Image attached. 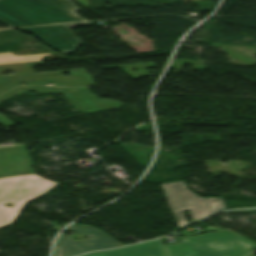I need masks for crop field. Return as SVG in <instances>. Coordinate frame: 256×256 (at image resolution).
<instances>
[{"instance_id":"3316defc","label":"crop field","mask_w":256,"mask_h":256,"mask_svg":"<svg viewBox=\"0 0 256 256\" xmlns=\"http://www.w3.org/2000/svg\"><path fill=\"white\" fill-rule=\"evenodd\" d=\"M26 92H39V93H54L61 94L59 88L54 87H42V86H31V87H19L13 89L0 97V104L7 101L8 99L26 93ZM0 123L6 127L15 126L14 123L0 115Z\"/></svg>"},{"instance_id":"e52e79f7","label":"crop field","mask_w":256,"mask_h":256,"mask_svg":"<svg viewBox=\"0 0 256 256\" xmlns=\"http://www.w3.org/2000/svg\"><path fill=\"white\" fill-rule=\"evenodd\" d=\"M60 90L79 113L91 114L123 107L117 101L98 99L96 95L89 92L87 87L60 88Z\"/></svg>"},{"instance_id":"8a807250","label":"crop field","mask_w":256,"mask_h":256,"mask_svg":"<svg viewBox=\"0 0 256 256\" xmlns=\"http://www.w3.org/2000/svg\"><path fill=\"white\" fill-rule=\"evenodd\" d=\"M70 0H15L0 3V21L10 27L86 21Z\"/></svg>"},{"instance_id":"cbeb9de0","label":"crop field","mask_w":256,"mask_h":256,"mask_svg":"<svg viewBox=\"0 0 256 256\" xmlns=\"http://www.w3.org/2000/svg\"><path fill=\"white\" fill-rule=\"evenodd\" d=\"M18 85L13 76L0 77V94Z\"/></svg>"},{"instance_id":"5a996713","label":"crop field","mask_w":256,"mask_h":256,"mask_svg":"<svg viewBox=\"0 0 256 256\" xmlns=\"http://www.w3.org/2000/svg\"><path fill=\"white\" fill-rule=\"evenodd\" d=\"M83 256H165L161 240H154L125 248L85 254ZM186 256H194L193 252Z\"/></svg>"},{"instance_id":"d9b57169","label":"crop field","mask_w":256,"mask_h":256,"mask_svg":"<svg viewBox=\"0 0 256 256\" xmlns=\"http://www.w3.org/2000/svg\"><path fill=\"white\" fill-rule=\"evenodd\" d=\"M82 256V255H81Z\"/></svg>"},{"instance_id":"d1516ede","label":"crop field","mask_w":256,"mask_h":256,"mask_svg":"<svg viewBox=\"0 0 256 256\" xmlns=\"http://www.w3.org/2000/svg\"><path fill=\"white\" fill-rule=\"evenodd\" d=\"M36 64H43V63L41 61H37V62H28V63H19V64L0 65V76H7V75H1V73L4 72L5 70L12 71L13 74L11 75L31 73L33 72L31 67Z\"/></svg>"},{"instance_id":"f4fd0767","label":"crop field","mask_w":256,"mask_h":256,"mask_svg":"<svg viewBox=\"0 0 256 256\" xmlns=\"http://www.w3.org/2000/svg\"><path fill=\"white\" fill-rule=\"evenodd\" d=\"M67 230L79 233L87 239L73 242L71 239L61 233L55 244V256H74L86 251L122 246V244L116 242L104 232L91 226L73 225Z\"/></svg>"},{"instance_id":"28ad6ade","label":"crop field","mask_w":256,"mask_h":256,"mask_svg":"<svg viewBox=\"0 0 256 256\" xmlns=\"http://www.w3.org/2000/svg\"><path fill=\"white\" fill-rule=\"evenodd\" d=\"M50 53L14 56L11 52L0 53V64L18 63L41 60L42 56Z\"/></svg>"},{"instance_id":"dd49c442","label":"crop field","mask_w":256,"mask_h":256,"mask_svg":"<svg viewBox=\"0 0 256 256\" xmlns=\"http://www.w3.org/2000/svg\"><path fill=\"white\" fill-rule=\"evenodd\" d=\"M21 30L31 32L50 48L65 56L84 45L66 25L21 28Z\"/></svg>"},{"instance_id":"ac0d7876","label":"crop field","mask_w":256,"mask_h":256,"mask_svg":"<svg viewBox=\"0 0 256 256\" xmlns=\"http://www.w3.org/2000/svg\"><path fill=\"white\" fill-rule=\"evenodd\" d=\"M188 242L164 246L168 256H246L256 244L228 231H219L187 238Z\"/></svg>"},{"instance_id":"d8731c3e","label":"crop field","mask_w":256,"mask_h":256,"mask_svg":"<svg viewBox=\"0 0 256 256\" xmlns=\"http://www.w3.org/2000/svg\"><path fill=\"white\" fill-rule=\"evenodd\" d=\"M23 145L0 148V177L33 173Z\"/></svg>"},{"instance_id":"412701ff","label":"crop field","mask_w":256,"mask_h":256,"mask_svg":"<svg viewBox=\"0 0 256 256\" xmlns=\"http://www.w3.org/2000/svg\"><path fill=\"white\" fill-rule=\"evenodd\" d=\"M161 186L179 228L187 224L183 210H189L194 222L225 209L222 198H200L187 190L183 181Z\"/></svg>"},{"instance_id":"34b2d1b8","label":"crop field","mask_w":256,"mask_h":256,"mask_svg":"<svg viewBox=\"0 0 256 256\" xmlns=\"http://www.w3.org/2000/svg\"><path fill=\"white\" fill-rule=\"evenodd\" d=\"M57 184L35 174L0 178V229L11 225L25 202L47 192ZM4 203L13 206L4 207Z\"/></svg>"},{"instance_id":"22f410ed","label":"crop field","mask_w":256,"mask_h":256,"mask_svg":"<svg viewBox=\"0 0 256 256\" xmlns=\"http://www.w3.org/2000/svg\"><path fill=\"white\" fill-rule=\"evenodd\" d=\"M122 66H124L125 68H122ZM122 66H109V67H104V68L120 67L128 75H130L133 79H138L142 76H146L147 67L154 66V64L153 63H147V64H134V65H122ZM132 69H138V72L134 73L132 71Z\"/></svg>"},{"instance_id":"5142ce71","label":"crop field","mask_w":256,"mask_h":256,"mask_svg":"<svg viewBox=\"0 0 256 256\" xmlns=\"http://www.w3.org/2000/svg\"><path fill=\"white\" fill-rule=\"evenodd\" d=\"M9 1V0H0V2Z\"/></svg>"}]
</instances>
